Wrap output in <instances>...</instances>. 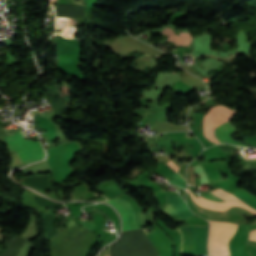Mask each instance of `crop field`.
Wrapping results in <instances>:
<instances>
[{"label": "crop field", "mask_w": 256, "mask_h": 256, "mask_svg": "<svg viewBox=\"0 0 256 256\" xmlns=\"http://www.w3.org/2000/svg\"><path fill=\"white\" fill-rule=\"evenodd\" d=\"M171 183H173V184H175V185H178V186L184 187L183 185H181V184H179V183H177V182H175V181H173V180H171Z\"/></svg>", "instance_id": "crop-field-13"}, {"label": "crop field", "mask_w": 256, "mask_h": 256, "mask_svg": "<svg viewBox=\"0 0 256 256\" xmlns=\"http://www.w3.org/2000/svg\"><path fill=\"white\" fill-rule=\"evenodd\" d=\"M250 239L256 240V231H250Z\"/></svg>", "instance_id": "crop-field-12"}, {"label": "crop field", "mask_w": 256, "mask_h": 256, "mask_svg": "<svg viewBox=\"0 0 256 256\" xmlns=\"http://www.w3.org/2000/svg\"><path fill=\"white\" fill-rule=\"evenodd\" d=\"M225 109H227V108L224 106H216V107L211 108L209 110V112L207 114H205L204 120H203V134L205 137H207L205 134V124H206L207 120ZM234 131H236V129L230 124L229 121H227L214 130V136L217 138V140L220 143L227 142V143H231V144H235V145H239V146H245V145L237 143L236 141H234L233 139H231L229 137V134ZM209 141H211V140L209 139ZM245 147H247V146H245Z\"/></svg>", "instance_id": "crop-field-2"}, {"label": "crop field", "mask_w": 256, "mask_h": 256, "mask_svg": "<svg viewBox=\"0 0 256 256\" xmlns=\"http://www.w3.org/2000/svg\"><path fill=\"white\" fill-rule=\"evenodd\" d=\"M203 113H195L194 114V126L201 125V120L203 118Z\"/></svg>", "instance_id": "crop-field-8"}, {"label": "crop field", "mask_w": 256, "mask_h": 256, "mask_svg": "<svg viewBox=\"0 0 256 256\" xmlns=\"http://www.w3.org/2000/svg\"><path fill=\"white\" fill-rule=\"evenodd\" d=\"M177 229L181 234V254H194V226Z\"/></svg>", "instance_id": "crop-field-5"}, {"label": "crop field", "mask_w": 256, "mask_h": 256, "mask_svg": "<svg viewBox=\"0 0 256 256\" xmlns=\"http://www.w3.org/2000/svg\"><path fill=\"white\" fill-rule=\"evenodd\" d=\"M233 148H237V149H244V148H241V147H235V146H233Z\"/></svg>", "instance_id": "crop-field-14"}, {"label": "crop field", "mask_w": 256, "mask_h": 256, "mask_svg": "<svg viewBox=\"0 0 256 256\" xmlns=\"http://www.w3.org/2000/svg\"><path fill=\"white\" fill-rule=\"evenodd\" d=\"M6 143L10 151H16L24 164L45 157L40 141L24 140L21 133L6 136Z\"/></svg>", "instance_id": "crop-field-1"}, {"label": "crop field", "mask_w": 256, "mask_h": 256, "mask_svg": "<svg viewBox=\"0 0 256 256\" xmlns=\"http://www.w3.org/2000/svg\"><path fill=\"white\" fill-rule=\"evenodd\" d=\"M161 32L168 35L169 37H167V39L173 41L174 43H176V45H186V46H188V44L192 40L191 35H188L189 33L188 34L181 33L180 36H177V35H174L173 30H171L167 27L164 30H162Z\"/></svg>", "instance_id": "crop-field-6"}, {"label": "crop field", "mask_w": 256, "mask_h": 256, "mask_svg": "<svg viewBox=\"0 0 256 256\" xmlns=\"http://www.w3.org/2000/svg\"><path fill=\"white\" fill-rule=\"evenodd\" d=\"M244 208V207H243ZM250 211V210H249ZM252 212V211H251Z\"/></svg>", "instance_id": "crop-field-15"}, {"label": "crop field", "mask_w": 256, "mask_h": 256, "mask_svg": "<svg viewBox=\"0 0 256 256\" xmlns=\"http://www.w3.org/2000/svg\"><path fill=\"white\" fill-rule=\"evenodd\" d=\"M203 197L211 199L213 201H219V202H223V200L217 198L216 196H214L211 192H208L206 194L203 195Z\"/></svg>", "instance_id": "crop-field-9"}, {"label": "crop field", "mask_w": 256, "mask_h": 256, "mask_svg": "<svg viewBox=\"0 0 256 256\" xmlns=\"http://www.w3.org/2000/svg\"><path fill=\"white\" fill-rule=\"evenodd\" d=\"M172 178L175 180H178L184 184L186 183L185 180L181 177V175L178 172L176 174L172 175Z\"/></svg>", "instance_id": "crop-field-10"}, {"label": "crop field", "mask_w": 256, "mask_h": 256, "mask_svg": "<svg viewBox=\"0 0 256 256\" xmlns=\"http://www.w3.org/2000/svg\"><path fill=\"white\" fill-rule=\"evenodd\" d=\"M111 203L122 215L123 218V230L139 228L135 222L134 211L129 202L115 198L112 200H106Z\"/></svg>", "instance_id": "crop-field-3"}, {"label": "crop field", "mask_w": 256, "mask_h": 256, "mask_svg": "<svg viewBox=\"0 0 256 256\" xmlns=\"http://www.w3.org/2000/svg\"><path fill=\"white\" fill-rule=\"evenodd\" d=\"M167 205H169L172 209L178 212L184 218H187L191 215H194L192 212L189 211L186 204L182 201L179 195H167ZM165 205V211L171 214L176 221L183 219L178 213L172 210L169 206Z\"/></svg>", "instance_id": "crop-field-4"}, {"label": "crop field", "mask_w": 256, "mask_h": 256, "mask_svg": "<svg viewBox=\"0 0 256 256\" xmlns=\"http://www.w3.org/2000/svg\"><path fill=\"white\" fill-rule=\"evenodd\" d=\"M188 127V126H187ZM189 129V128H188Z\"/></svg>", "instance_id": "crop-field-16"}, {"label": "crop field", "mask_w": 256, "mask_h": 256, "mask_svg": "<svg viewBox=\"0 0 256 256\" xmlns=\"http://www.w3.org/2000/svg\"><path fill=\"white\" fill-rule=\"evenodd\" d=\"M78 224H80V225H82V226H84V227H86V228H88V229H93V227H94V223H88V222H80V223H78Z\"/></svg>", "instance_id": "crop-field-11"}, {"label": "crop field", "mask_w": 256, "mask_h": 256, "mask_svg": "<svg viewBox=\"0 0 256 256\" xmlns=\"http://www.w3.org/2000/svg\"><path fill=\"white\" fill-rule=\"evenodd\" d=\"M195 172L200 176V181L201 183H207L208 181L206 180L205 173L201 169L200 165L194 166Z\"/></svg>", "instance_id": "crop-field-7"}]
</instances>
